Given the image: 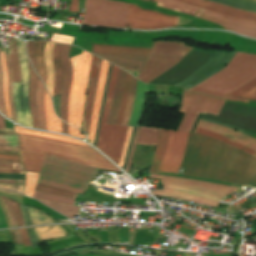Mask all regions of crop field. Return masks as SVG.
<instances>
[{
	"mask_svg": "<svg viewBox=\"0 0 256 256\" xmlns=\"http://www.w3.org/2000/svg\"><path fill=\"white\" fill-rule=\"evenodd\" d=\"M54 44L46 43L45 45V62L47 68V82L46 87L52 97L53 92V84H54V67L52 65V51H53Z\"/></svg>",
	"mask_w": 256,
	"mask_h": 256,
	"instance_id": "crop-field-28",
	"label": "crop field"
},
{
	"mask_svg": "<svg viewBox=\"0 0 256 256\" xmlns=\"http://www.w3.org/2000/svg\"><path fill=\"white\" fill-rule=\"evenodd\" d=\"M13 231H14V233H15L16 242H17V243H23L22 240H21V238H20L18 229H15V230H13Z\"/></svg>",
	"mask_w": 256,
	"mask_h": 256,
	"instance_id": "crop-field-69",
	"label": "crop field"
},
{
	"mask_svg": "<svg viewBox=\"0 0 256 256\" xmlns=\"http://www.w3.org/2000/svg\"><path fill=\"white\" fill-rule=\"evenodd\" d=\"M126 72L120 70L107 123L115 124L124 88Z\"/></svg>",
	"mask_w": 256,
	"mask_h": 256,
	"instance_id": "crop-field-23",
	"label": "crop field"
},
{
	"mask_svg": "<svg viewBox=\"0 0 256 256\" xmlns=\"http://www.w3.org/2000/svg\"><path fill=\"white\" fill-rule=\"evenodd\" d=\"M108 65H109V63H107L105 61L102 62L101 74H100V79H99V84H98V89H97V94H96V100H95L94 109H93L90 133H89V137H88V139L90 140V143H92V144L94 142V135H95L96 125H97V121H98L100 103H101V98H102V93H103V88H104V83H105V79H106Z\"/></svg>",
	"mask_w": 256,
	"mask_h": 256,
	"instance_id": "crop-field-17",
	"label": "crop field"
},
{
	"mask_svg": "<svg viewBox=\"0 0 256 256\" xmlns=\"http://www.w3.org/2000/svg\"><path fill=\"white\" fill-rule=\"evenodd\" d=\"M0 154L18 155V152L0 151Z\"/></svg>",
	"mask_w": 256,
	"mask_h": 256,
	"instance_id": "crop-field-71",
	"label": "crop field"
},
{
	"mask_svg": "<svg viewBox=\"0 0 256 256\" xmlns=\"http://www.w3.org/2000/svg\"><path fill=\"white\" fill-rule=\"evenodd\" d=\"M27 61H28V70H29V76H30L29 102H30L32 122H33L32 127L39 129L38 112H37V108H36V94H37V86H38L39 77L32 70L28 59H27Z\"/></svg>",
	"mask_w": 256,
	"mask_h": 256,
	"instance_id": "crop-field-22",
	"label": "crop field"
},
{
	"mask_svg": "<svg viewBox=\"0 0 256 256\" xmlns=\"http://www.w3.org/2000/svg\"><path fill=\"white\" fill-rule=\"evenodd\" d=\"M35 198H40L44 200H49V201H54V202H59V203H64V204H70L73 205L74 199L72 198H67V197H60V196H54V195H49V194H44L40 192H34Z\"/></svg>",
	"mask_w": 256,
	"mask_h": 256,
	"instance_id": "crop-field-43",
	"label": "crop field"
},
{
	"mask_svg": "<svg viewBox=\"0 0 256 256\" xmlns=\"http://www.w3.org/2000/svg\"><path fill=\"white\" fill-rule=\"evenodd\" d=\"M38 237V240H48L60 236L66 235L62 226H43L34 228Z\"/></svg>",
	"mask_w": 256,
	"mask_h": 256,
	"instance_id": "crop-field-29",
	"label": "crop field"
},
{
	"mask_svg": "<svg viewBox=\"0 0 256 256\" xmlns=\"http://www.w3.org/2000/svg\"><path fill=\"white\" fill-rule=\"evenodd\" d=\"M203 14L210 15V16H213V17H216V18H219V19L235 22V23H238V24H241V25H248V26L256 27V23L236 20V19H233L231 17H227V16H224V15H221V14H218V13L208 11V10H203Z\"/></svg>",
	"mask_w": 256,
	"mask_h": 256,
	"instance_id": "crop-field-47",
	"label": "crop field"
},
{
	"mask_svg": "<svg viewBox=\"0 0 256 256\" xmlns=\"http://www.w3.org/2000/svg\"><path fill=\"white\" fill-rule=\"evenodd\" d=\"M15 132L16 133H24V134H30V135H38V136H45V137H50L54 139H59L67 142H72V143H78V144H83L75 139L64 137V136H59V135H54V134H49V133H43V132H36V131H31L27 130L21 127L15 126ZM85 145V144H84Z\"/></svg>",
	"mask_w": 256,
	"mask_h": 256,
	"instance_id": "crop-field-37",
	"label": "crop field"
},
{
	"mask_svg": "<svg viewBox=\"0 0 256 256\" xmlns=\"http://www.w3.org/2000/svg\"><path fill=\"white\" fill-rule=\"evenodd\" d=\"M127 3L86 0L83 24L125 28Z\"/></svg>",
	"mask_w": 256,
	"mask_h": 256,
	"instance_id": "crop-field-9",
	"label": "crop field"
},
{
	"mask_svg": "<svg viewBox=\"0 0 256 256\" xmlns=\"http://www.w3.org/2000/svg\"><path fill=\"white\" fill-rule=\"evenodd\" d=\"M39 174L36 173H27L26 172V184H25V192L24 194L28 196H32V193L34 191L36 181Z\"/></svg>",
	"mask_w": 256,
	"mask_h": 256,
	"instance_id": "crop-field-45",
	"label": "crop field"
},
{
	"mask_svg": "<svg viewBox=\"0 0 256 256\" xmlns=\"http://www.w3.org/2000/svg\"><path fill=\"white\" fill-rule=\"evenodd\" d=\"M69 134L70 135H74V136H78V137H82L85 138V136L80 135V132L76 129H74L73 127L69 126Z\"/></svg>",
	"mask_w": 256,
	"mask_h": 256,
	"instance_id": "crop-field-65",
	"label": "crop field"
},
{
	"mask_svg": "<svg viewBox=\"0 0 256 256\" xmlns=\"http://www.w3.org/2000/svg\"><path fill=\"white\" fill-rule=\"evenodd\" d=\"M181 167L187 176L238 185L256 183V158L199 134L189 133Z\"/></svg>",
	"mask_w": 256,
	"mask_h": 256,
	"instance_id": "crop-field-1",
	"label": "crop field"
},
{
	"mask_svg": "<svg viewBox=\"0 0 256 256\" xmlns=\"http://www.w3.org/2000/svg\"><path fill=\"white\" fill-rule=\"evenodd\" d=\"M0 135H14L12 129H0Z\"/></svg>",
	"mask_w": 256,
	"mask_h": 256,
	"instance_id": "crop-field-67",
	"label": "crop field"
},
{
	"mask_svg": "<svg viewBox=\"0 0 256 256\" xmlns=\"http://www.w3.org/2000/svg\"><path fill=\"white\" fill-rule=\"evenodd\" d=\"M148 1H152V0H148Z\"/></svg>",
	"mask_w": 256,
	"mask_h": 256,
	"instance_id": "crop-field-77",
	"label": "crop field"
},
{
	"mask_svg": "<svg viewBox=\"0 0 256 256\" xmlns=\"http://www.w3.org/2000/svg\"><path fill=\"white\" fill-rule=\"evenodd\" d=\"M53 106L58 117H60V95L53 97Z\"/></svg>",
	"mask_w": 256,
	"mask_h": 256,
	"instance_id": "crop-field-60",
	"label": "crop field"
},
{
	"mask_svg": "<svg viewBox=\"0 0 256 256\" xmlns=\"http://www.w3.org/2000/svg\"><path fill=\"white\" fill-rule=\"evenodd\" d=\"M201 120H205V121H209V122H212V123H215V124H219V125H222V126H225V127H228V128L235 129V130H237V131L245 132V133H247V134H253L252 132L245 131V130H242V129H240V128L232 127V126L227 125V124H225V123H221V122L209 120V119H206V118H203V117H201Z\"/></svg>",
	"mask_w": 256,
	"mask_h": 256,
	"instance_id": "crop-field-57",
	"label": "crop field"
},
{
	"mask_svg": "<svg viewBox=\"0 0 256 256\" xmlns=\"http://www.w3.org/2000/svg\"><path fill=\"white\" fill-rule=\"evenodd\" d=\"M44 91L45 88L41 81L39 80L38 94H37V105L40 118V129L46 130L45 122V110H44Z\"/></svg>",
	"mask_w": 256,
	"mask_h": 256,
	"instance_id": "crop-field-34",
	"label": "crop field"
},
{
	"mask_svg": "<svg viewBox=\"0 0 256 256\" xmlns=\"http://www.w3.org/2000/svg\"><path fill=\"white\" fill-rule=\"evenodd\" d=\"M149 178L160 179L164 187L163 190H154L153 194L180 198L213 207H217L219 201L226 195L239 190L211 182L155 174H150Z\"/></svg>",
	"mask_w": 256,
	"mask_h": 256,
	"instance_id": "crop-field-4",
	"label": "crop field"
},
{
	"mask_svg": "<svg viewBox=\"0 0 256 256\" xmlns=\"http://www.w3.org/2000/svg\"><path fill=\"white\" fill-rule=\"evenodd\" d=\"M228 96L238 97L247 100L256 99V78L249 83L238 88L234 92L228 94Z\"/></svg>",
	"mask_w": 256,
	"mask_h": 256,
	"instance_id": "crop-field-31",
	"label": "crop field"
},
{
	"mask_svg": "<svg viewBox=\"0 0 256 256\" xmlns=\"http://www.w3.org/2000/svg\"><path fill=\"white\" fill-rule=\"evenodd\" d=\"M154 1L157 2V0H154ZM177 1L185 2V3L195 5V6H198V7H201V8H205V9H208V10H211V11H214V12H218V13H221V14H224V15H228V16H231V17H234V18L256 22V14L255 13H250V12L237 10V9H234V8L222 6V5L207 2V1H204V0H177Z\"/></svg>",
	"mask_w": 256,
	"mask_h": 256,
	"instance_id": "crop-field-14",
	"label": "crop field"
},
{
	"mask_svg": "<svg viewBox=\"0 0 256 256\" xmlns=\"http://www.w3.org/2000/svg\"><path fill=\"white\" fill-rule=\"evenodd\" d=\"M223 103L224 100L184 91L179 111L185 115L178 130L190 132L199 112L218 115Z\"/></svg>",
	"mask_w": 256,
	"mask_h": 256,
	"instance_id": "crop-field-10",
	"label": "crop field"
},
{
	"mask_svg": "<svg viewBox=\"0 0 256 256\" xmlns=\"http://www.w3.org/2000/svg\"><path fill=\"white\" fill-rule=\"evenodd\" d=\"M35 190L49 193V194H56V195H62V196H67V197H73V198L76 197V193H73V192H70L67 190H63V189H59V188H55V187H51V186H47V185H43V184H39V183H37Z\"/></svg>",
	"mask_w": 256,
	"mask_h": 256,
	"instance_id": "crop-field-39",
	"label": "crop field"
},
{
	"mask_svg": "<svg viewBox=\"0 0 256 256\" xmlns=\"http://www.w3.org/2000/svg\"><path fill=\"white\" fill-rule=\"evenodd\" d=\"M9 53H10V62L11 69L13 74V82H20V64L16 51V40H9Z\"/></svg>",
	"mask_w": 256,
	"mask_h": 256,
	"instance_id": "crop-field-33",
	"label": "crop field"
},
{
	"mask_svg": "<svg viewBox=\"0 0 256 256\" xmlns=\"http://www.w3.org/2000/svg\"><path fill=\"white\" fill-rule=\"evenodd\" d=\"M101 62H102V60L100 59V62H99V68H98V74H97V78H96V82H95L94 95H93V100H92V105H91V111H90V118H89L88 132H89V127H90V121H91L92 109H93V104H94V100H95L96 87H97V81H98V77H99V73H100V66H101ZM88 132H87V134H88Z\"/></svg>",
	"mask_w": 256,
	"mask_h": 256,
	"instance_id": "crop-field-59",
	"label": "crop field"
},
{
	"mask_svg": "<svg viewBox=\"0 0 256 256\" xmlns=\"http://www.w3.org/2000/svg\"><path fill=\"white\" fill-rule=\"evenodd\" d=\"M136 84H137V80L134 77H132L127 108H126V112H125V116H124L122 125H128V123H129V119L131 116L132 107H133V103H134V98H135Z\"/></svg>",
	"mask_w": 256,
	"mask_h": 256,
	"instance_id": "crop-field-38",
	"label": "crop field"
},
{
	"mask_svg": "<svg viewBox=\"0 0 256 256\" xmlns=\"http://www.w3.org/2000/svg\"><path fill=\"white\" fill-rule=\"evenodd\" d=\"M0 173H23V170L16 169H0ZM24 174V173H23Z\"/></svg>",
	"mask_w": 256,
	"mask_h": 256,
	"instance_id": "crop-field-66",
	"label": "crop field"
},
{
	"mask_svg": "<svg viewBox=\"0 0 256 256\" xmlns=\"http://www.w3.org/2000/svg\"><path fill=\"white\" fill-rule=\"evenodd\" d=\"M0 188L7 189V190H13L17 192L22 193L23 186L19 185H9V184H0Z\"/></svg>",
	"mask_w": 256,
	"mask_h": 256,
	"instance_id": "crop-field-58",
	"label": "crop field"
},
{
	"mask_svg": "<svg viewBox=\"0 0 256 256\" xmlns=\"http://www.w3.org/2000/svg\"><path fill=\"white\" fill-rule=\"evenodd\" d=\"M160 129L154 128H145V127H137L135 137L132 144L131 154L128 159L127 167L125 171H129L131 159L133 157L136 144H149V145H156L157 138Z\"/></svg>",
	"mask_w": 256,
	"mask_h": 256,
	"instance_id": "crop-field-16",
	"label": "crop field"
},
{
	"mask_svg": "<svg viewBox=\"0 0 256 256\" xmlns=\"http://www.w3.org/2000/svg\"><path fill=\"white\" fill-rule=\"evenodd\" d=\"M147 91H148V85H145L140 81H138L135 104H134V108H133V112H132V116L129 124L131 126L140 125V121L142 118L144 105L146 101Z\"/></svg>",
	"mask_w": 256,
	"mask_h": 256,
	"instance_id": "crop-field-20",
	"label": "crop field"
},
{
	"mask_svg": "<svg viewBox=\"0 0 256 256\" xmlns=\"http://www.w3.org/2000/svg\"><path fill=\"white\" fill-rule=\"evenodd\" d=\"M200 18L205 19L207 21L219 23V24H221L222 27H224L225 29L230 30L232 32H236V33H240V34H243L246 36L256 38V28L241 26L238 24L222 21V20L210 17V16L203 15V14L200 15Z\"/></svg>",
	"mask_w": 256,
	"mask_h": 256,
	"instance_id": "crop-field-25",
	"label": "crop field"
},
{
	"mask_svg": "<svg viewBox=\"0 0 256 256\" xmlns=\"http://www.w3.org/2000/svg\"><path fill=\"white\" fill-rule=\"evenodd\" d=\"M195 133L216 138L227 143L248 155L256 156V139L235 132L232 129L221 127L204 121H199Z\"/></svg>",
	"mask_w": 256,
	"mask_h": 256,
	"instance_id": "crop-field-11",
	"label": "crop field"
},
{
	"mask_svg": "<svg viewBox=\"0 0 256 256\" xmlns=\"http://www.w3.org/2000/svg\"><path fill=\"white\" fill-rule=\"evenodd\" d=\"M17 135L19 137L20 155L25 171L39 173L46 154L56 155L92 167L119 171L97 151L89 147L45 137Z\"/></svg>",
	"mask_w": 256,
	"mask_h": 256,
	"instance_id": "crop-field-2",
	"label": "crop field"
},
{
	"mask_svg": "<svg viewBox=\"0 0 256 256\" xmlns=\"http://www.w3.org/2000/svg\"><path fill=\"white\" fill-rule=\"evenodd\" d=\"M131 131H132V127L129 126L128 132H127L125 146H124L122 157H121V161H120V164H119L120 167H122V164H123V160H124V156H125V153H126V149H127V146H128L129 140H130V136H131Z\"/></svg>",
	"mask_w": 256,
	"mask_h": 256,
	"instance_id": "crop-field-55",
	"label": "crop field"
},
{
	"mask_svg": "<svg viewBox=\"0 0 256 256\" xmlns=\"http://www.w3.org/2000/svg\"><path fill=\"white\" fill-rule=\"evenodd\" d=\"M19 231H20L22 240H23V242H24V246H31V245H30V242H29L28 235H27V233H26V229H25V228H22V229H19Z\"/></svg>",
	"mask_w": 256,
	"mask_h": 256,
	"instance_id": "crop-field-61",
	"label": "crop field"
},
{
	"mask_svg": "<svg viewBox=\"0 0 256 256\" xmlns=\"http://www.w3.org/2000/svg\"><path fill=\"white\" fill-rule=\"evenodd\" d=\"M118 71V68L113 67L97 145V147H99L104 153H106L111 159H113L117 163L119 162L128 127L105 124V122L109 113Z\"/></svg>",
	"mask_w": 256,
	"mask_h": 256,
	"instance_id": "crop-field-8",
	"label": "crop field"
},
{
	"mask_svg": "<svg viewBox=\"0 0 256 256\" xmlns=\"http://www.w3.org/2000/svg\"><path fill=\"white\" fill-rule=\"evenodd\" d=\"M109 62H112L126 70L140 72L142 66L144 65L146 59L142 58H132V57H122V56H112V55H99L95 54Z\"/></svg>",
	"mask_w": 256,
	"mask_h": 256,
	"instance_id": "crop-field-21",
	"label": "crop field"
},
{
	"mask_svg": "<svg viewBox=\"0 0 256 256\" xmlns=\"http://www.w3.org/2000/svg\"><path fill=\"white\" fill-rule=\"evenodd\" d=\"M0 197H1L3 203H4L5 207H6V210H7V213H8V215H9V217H10L12 226H13V227L17 226V225H16V221H15V217H14V215H13V212H12V210H11V208H10V206H9V204H8V202H7V200H6V198H5L4 196H1V195H0Z\"/></svg>",
	"mask_w": 256,
	"mask_h": 256,
	"instance_id": "crop-field-52",
	"label": "crop field"
},
{
	"mask_svg": "<svg viewBox=\"0 0 256 256\" xmlns=\"http://www.w3.org/2000/svg\"><path fill=\"white\" fill-rule=\"evenodd\" d=\"M227 6H231L237 9L255 12L256 13V1L255 0H208Z\"/></svg>",
	"mask_w": 256,
	"mask_h": 256,
	"instance_id": "crop-field-32",
	"label": "crop field"
},
{
	"mask_svg": "<svg viewBox=\"0 0 256 256\" xmlns=\"http://www.w3.org/2000/svg\"><path fill=\"white\" fill-rule=\"evenodd\" d=\"M45 110L48 130L61 132V121L56 117L52 110V103L47 92H45Z\"/></svg>",
	"mask_w": 256,
	"mask_h": 256,
	"instance_id": "crop-field-30",
	"label": "crop field"
},
{
	"mask_svg": "<svg viewBox=\"0 0 256 256\" xmlns=\"http://www.w3.org/2000/svg\"><path fill=\"white\" fill-rule=\"evenodd\" d=\"M33 248L40 247L33 228H26Z\"/></svg>",
	"mask_w": 256,
	"mask_h": 256,
	"instance_id": "crop-field-53",
	"label": "crop field"
},
{
	"mask_svg": "<svg viewBox=\"0 0 256 256\" xmlns=\"http://www.w3.org/2000/svg\"><path fill=\"white\" fill-rule=\"evenodd\" d=\"M0 128H6L3 118L0 116Z\"/></svg>",
	"mask_w": 256,
	"mask_h": 256,
	"instance_id": "crop-field-74",
	"label": "crop field"
},
{
	"mask_svg": "<svg viewBox=\"0 0 256 256\" xmlns=\"http://www.w3.org/2000/svg\"><path fill=\"white\" fill-rule=\"evenodd\" d=\"M7 199H8V201L10 203V206H11L13 212H14V215L16 217L18 226H25L24 222H23V219H22V215H21L18 203L9 199V198H7Z\"/></svg>",
	"mask_w": 256,
	"mask_h": 256,
	"instance_id": "crop-field-48",
	"label": "crop field"
},
{
	"mask_svg": "<svg viewBox=\"0 0 256 256\" xmlns=\"http://www.w3.org/2000/svg\"><path fill=\"white\" fill-rule=\"evenodd\" d=\"M256 77V55L237 52L230 63L222 70L189 89V91L204 93L225 99L249 102L225 96Z\"/></svg>",
	"mask_w": 256,
	"mask_h": 256,
	"instance_id": "crop-field-3",
	"label": "crop field"
},
{
	"mask_svg": "<svg viewBox=\"0 0 256 256\" xmlns=\"http://www.w3.org/2000/svg\"><path fill=\"white\" fill-rule=\"evenodd\" d=\"M157 6L182 12V13L189 14L196 17H198V15L201 12V8H197L188 4H184V3L172 1V0H159Z\"/></svg>",
	"mask_w": 256,
	"mask_h": 256,
	"instance_id": "crop-field-26",
	"label": "crop field"
},
{
	"mask_svg": "<svg viewBox=\"0 0 256 256\" xmlns=\"http://www.w3.org/2000/svg\"><path fill=\"white\" fill-rule=\"evenodd\" d=\"M0 111L7 116L4 102V94H3V84H2V68L0 62Z\"/></svg>",
	"mask_w": 256,
	"mask_h": 256,
	"instance_id": "crop-field-51",
	"label": "crop field"
},
{
	"mask_svg": "<svg viewBox=\"0 0 256 256\" xmlns=\"http://www.w3.org/2000/svg\"><path fill=\"white\" fill-rule=\"evenodd\" d=\"M134 131H135V127L133 128V132H132L131 140H130L129 147H128V150H127V153H126V158H125V162H124V165H123V169H125V167H126V162H127L128 156H129V152H130V148H131V144H132V139H133V136H134Z\"/></svg>",
	"mask_w": 256,
	"mask_h": 256,
	"instance_id": "crop-field-64",
	"label": "crop field"
},
{
	"mask_svg": "<svg viewBox=\"0 0 256 256\" xmlns=\"http://www.w3.org/2000/svg\"><path fill=\"white\" fill-rule=\"evenodd\" d=\"M0 183H9V184L23 185L24 184V180L0 179Z\"/></svg>",
	"mask_w": 256,
	"mask_h": 256,
	"instance_id": "crop-field-62",
	"label": "crop field"
},
{
	"mask_svg": "<svg viewBox=\"0 0 256 256\" xmlns=\"http://www.w3.org/2000/svg\"><path fill=\"white\" fill-rule=\"evenodd\" d=\"M96 171V168L47 155L38 182L83 194Z\"/></svg>",
	"mask_w": 256,
	"mask_h": 256,
	"instance_id": "crop-field-5",
	"label": "crop field"
},
{
	"mask_svg": "<svg viewBox=\"0 0 256 256\" xmlns=\"http://www.w3.org/2000/svg\"><path fill=\"white\" fill-rule=\"evenodd\" d=\"M34 43L35 42H27V52H28V57H29L30 61L32 62L34 69L38 73L37 66H36V59H35Z\"/></svg>",
	"mask_w": 256,
	"mask_h": 256,
	"instance_id": "crop-field-50",
	"label": "crop field"
},
{
	"mask_svg": "<svg viewBox=\"0 0 256 256\" xmlns=\"http://www.w3.org/2000/svg\"><path fill=\"white\" fill-rule=\"evenodd\" d=\"M0 162L21 163L20 160H13V159H0Z\"/></svg>",
	"mask_w": 256,
	"mask_h": 256,
	"instance_id": "crop-field-68",
	"label": "crop field"
},
{
	"mask_svg": "<svg viewBox=\"0 0 256 256\" xmlns=\"http://www.w3.org/2000/svg\"><path fill=\"white\" fill-rule=\"evenodd\" d=\"M188 133L160 130L150 172L176 174L182 161Z\"/></svg>",
	"mask_w": 256,
	"mask_h": 256,
	"instance_id": "crop-field-6",
	"label": "crop field"
},
{
	"mask_svg": "<svg viewBox=\"0 0 256 256\" xmlns=\"http://www.w3.org/2000/svg\"><path fill=\"white\" fill-rule=\"evenodd\" d=\"M19 205H20V204H19ZM20 208H21V210H22V215H23V217H24L26 226L32 225V224H31V220H30V216H29V213H28V207H27V206L20 205Z\"/></svg>",
	"mask_w": 256,
	"mask_h": 256,
	"instance_id": "crop-field-56",
	"label": "crop field"
},
{
	"mask_svg": "<svg viewBox=\"0 0 256 256\" xmlns=\"http://www.w3.org/2000/svg\"><path fill=\"white\" fill-rule=\"evenodd\" d=\"M0 191H4V190H0ZM4 192L11 193V194H15V195H18V196H20V197H21V195H20V194H18V193L9 192V191H4Z\"/></svg>",
	"mask_w": 256,
	"mask_h": 256,
	"instance_id": "crop-field-76",
	"label": "crop field"
},
{
	"mask_svg": "<svg viewBox=\"0 0 256 256\" xmlns=\"http://www.w3.org/2000/svg\"><path fill=\"white\" fill-rule=\"evenodd\" d=\"M70 46L63 45L61 51V61L64 69L63 76V87L61 95V119L67 121V105H68V96L70 83L72 81V66L68 57Z\"/></svg>",
	"mask_w": 256,
	"mask_h": 256,
	"instance_id": "crop-field-15",
	"label": "crop field"
},
{
	"mask_svg": "<svg viewBox=\"0 0 256 256\" xmlns=\"http://www.w3.org/2000/svg\"><path fill=\"white\" fill-rule=\"evenodd\" d=\"M44 44H45V42L36 41V59H37L38 71H39L40 77L42 78L43 82L45 83L46 68H45L44 57H43Z\"/></svg>",
	"mask_w": 256,
	"mask_h": 256,
	"instance_id": "crop-field-36",
	"label": "crop field"
},
{
	"mask_svg": "<svg viewBox=\"0 0 256 256\" xmlns=\"http://www.w3.org/2000/svg\"><path fill=\"white\" fill-rule=\"evenodd\" d=\"M0 176H22V177H24V175H21V174H0Z\"/></svg>",
	"mask_w": 256,
	"mask_h": 256,
	"instance_id": "crop-field-73",
	"label": "crop field"
},
{
	"mask_svg": "<svg viewBox=\"0 0 256 256\" xmlns=\"http://www.w3.org/2000/svg\"><path fill=\"white\" fill-rule=\"evenodd\" d=\"M91 54H83L70 58L73 65V82L70 89L68 105V123L78 129L81 128L84 96L89 74Z\"/></svg>",
	"mask_w": 256,
	"mask_h": 256,
	"instance_id": "crop-field-7",
	"label": "crop field"
},
{
	"mask_svg": "<svg viewBox=\"0 0 256 256\" xmlns=\"http://www.w3.org/2000/svg\"><path fill=\"white\" fill-rule=\"evenodd\" d=\"M61 47L62 45L55 44L53 51V65L55 67V85L53 96L60 94L62 85L63 69L60 61Z\"/></svg>",
	"mask_w": 256,
	"mask_h": 256,
	"instance_id": "crop-field-27",
	"label": "crop field"
},
{
	"mask_svg": "<svg viewBox=\"0 0 256 256\" xmlns=\"http://www.w3.org/2000/svg\"><path fill=\"white\" fill-rule=\"evenodd\" d=\"M130 79H131V75L127 74L125 88H124L123 97H122L121 106H120V111H119V115H118V119H117V123H116L119 125H121V123H122L124 111L126 108L127 96H128V92H129V86H130Z\"/></svg>",
	"mask_w": 256,
	"mask_h": 256,
	"instance_id": "crop-field-42",
	"label": "crop field"
},
{
	"mask_svg": "<svg viewBox=\"0 0 256 256\" xmlns=\"http://www.w3.org/2000/svg\"><path fill=\"white\" fill-rule=\"evenodd\" d=\"M29 210H30V216H31L33 225L54 222V220H52L44 212H42L38 209L30 207Z\"/></svg>",
	"mask_w": 256,
	"mask_h": 256,
	"instance_id": "crop-field-40",
	"label": "crop field"
},
{
	"mask_svg": "<svg viewBox=\"0 0 256 256\" xmlns=\"http://www.w3.org/2000/svg\"><path fill=\"white\" fill-rule=\"evenodd\" d=\"M0 168H16V169H23L21 164H1Z\"/></svg>",
	"mask_w": 256,
	"mask_h": 256,
	"instance_id": "crop-field-63",
	"label": "crop field"
},
{
	"mask_svg": "<svg viewBox=\"0 0 256 256\" xmlns=\"http://www.w3.org/2000/svg\"><path fill=\"white\" fill-rule=\"evenodd\" d=\"M1 61H2V67H3V83H4V94H5L6 108H7V112H8V118L11 119L9 102H8V93H7V69H6L4 51H1Z\"/></svg>",
	"mask_w": 256,
	"mask_h": 256,
	"instance_id": "crop-field-46",
	"label": "crop field"
},
{
	"mask_svg": "<svg viewBox=\"0 0 256 256\" xmlns=\"http://www.w3.org/2000/svg\"><path fill=\"white\" fill-rule=\"evenodd\" d=\"M0 150L18 151L16 136H0Z\"/></svg>",
	"mask_w": 256,
	"mask_h": 256,
	"instance_id": "crop-field-41",
	"label": "crop field"
},
{
	"mask_svg": "<svg viewBox=\"0 0 256 256\" xmlns=\"http://www.w3.org/2000/svg\"><path fill=\"white\" fill-rule=\"evenodd\" d=\"M151 49L93 45L92 52L147 58Z\"/></svg>",
	"mask_w": 256,
	"mask_h": 256,
	"instance_id": "crop-field-19",
	"label": "crop field"
},
{
	"mask_svg": "<svg viewBox=\"0 0 256 256\" xmlns=\"http://www.w3.org/2000/svg\"><path fill=\"white\" fill-rule=\"evenodd\" d=\"M0 158H14V159H19V156L0 155Z\"/></svg>",
	"mask_w": 256,
	"mask_h": 256,
	"instance_id": "crop-field-72",
	"label": "crop field"
},
{
	"mask_svg": "<svg viewBox=\"0 0 256 256\" xmlns=\"http://www.w3.org/2000/svg\"><path fill=\"white\" fill-rule=\"evenodd\" d=\"M178 17L141 10L135 5L128 6L127 24L134 29H159L177 25Z\"/></svg>",
	"mask_w": 256,
	"mask_h": 256,
	"instance_id": "crop-field-12",
	"label": "crop field"
},
{
	"mask_svg": "<svg viewBox=\"0 0 256 256\" xmlns=\"http://www.w3.org/2000/svg\"><path fill=\"white\" fill-rule=\"evenodd\" d=\"M98 61H99V59L96 58L95 56H93L92 66H91V74H90V82H89V88H88V92H87L84 119H83L82 131H84V132L87 131L88 117H89L90 105H91V100H92V95H93L95 77H96V73H97Z\"/></svg>",
	"mask_w": 256,
	"mask_h": 256,
	"instance_id": "crop-field-24",
	"label": "crop field"
},
{
	"mask_svg": "<svg viewBox=\"0 0 256 256\" xmlns=\"http://www.w3.org/2000/svg\"><path fill=\"white\" fill-rule=\"evenodd\" d=\"M74 38L54 34L51 41L71 44Z\"/></svg>",
	"mask_w": 256,
	"mask_h": 256,
	"instance_id": "crop-field-54",
	"label": "crop field"
},
{
	"mask_svg": "<svg viewBox=\"0 0 256 256\" xmlns=\"http://www.w3.org/2000/svg\"><path fill=\"white\" fill-rule=\"evenodd\" d=\"M0 178L24 179V178H21V177H0Z\"/></svg>",
	"mask_w": 256,
	"mask_h": 256,
	"instance_id": "crop-field-75",
	"label": "crop field"
},
{
	"mask_svg": "<svg viewBox=\"0 0 256 256\" xmlns=\"http://www.w3.org/2000/svg\"><path fill=\"white\" fill-rule=\"evenodd\" d=\"M62 133L68 134V124L62 122Z\"/></svg>",
	"mask_w": 256,
	"mask_h": 256,
	"instance_id": "crop-field-70",
	"label": "crop field"
},
{
	"mask_svg": "<svg viewBox=\"0 0 256 256\" xmlns=\"http://www.w3.org/2000/svg\"><path fill=\"white\" fill-rule=\"evenodd\" d=\"M191 49L182 42H157L150 55L185 56Z\"/></svg>",
	"mask_w": 256,
	"mask_h": 256,
	"instance_id": "crop-field-18",
	"label": "crop field"
},
{
	"mask_svg": "<svg viewBox=\"0 0 256 256\" xmlns=\"http://www.w3.org/2000/svg\"><path fill=\"white\" fill-rule=\"evenodd\" d=\"M112 67H113L112 65L109 66V71H108L107 80H106L105 89H104V94H103L102 103H101V109H100V115H99V121H98V126H97V131H96V137H95V143H94V145H96V141H97V137H98V131H99V126H100V120H101V115H102V111H103L105 95H106V91H107V87H108V83H109V79H110V74H111V69H112Z\"/></svg>",
	"mask_w": 256,
	"mask_h": 256,
	"instance_id": "crop-field-49",
	"label": "crop field"
},
{
	"mask_svg": "<svg viewBox=\"0 0 256 256\" xmlns=\"http://www.w3.org/2000/svg\"><path fill=\"white\" fill-rule=\"evenodd\" d=\"M39 200V199H37ZM42 203L46 204L50 208L66 215L67 217L73 219V214H78V208L76 206H70V205H64V204H58V203H53V202H48V201H43L39 200Z\"/></svg>",
	"mask_w": 256,
	"mask_h": 256,
	"instance_id": "crop-field-35",
	"label": "crop field"
},
{
	"mask_svg": "<svg viewBox=\"0 0 256 256\" xmlns=\"http://www.w3.org/2000/svg\"><path fill=\"white\" fill-rule=\"evenodd\" d=\"M6 62H7V69H8V92H9V100H10V107H11V114L14 121L15 119V111H14V104H13V98H12V75H11V69H10V63H9V54L5 53Z\"/></svg>",
	"mask_w": 256,
	"mask_h": 256,
	"instance_id": "crop-field-44",
	"label": "crop field"
},
{
	"mask_svg": "<svg viewBox=\"0 0 256 256\" xmlns=\"http://www.w3.org/2000/svg\"><path fill=\"white\" fill-rule=\"evenodd\" d=\"M182 57L150 56L138 79L148 83L164 71L172 68Z\"/></svg>",
	"mask_w": 256,
	"mask_h": 256,
	"instance_id": "crop-field-13",
	"label": "crop field"
}]
</instances>
